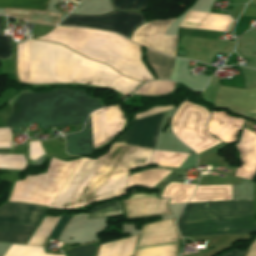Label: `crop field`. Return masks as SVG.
I'll use <instances>...</instances> for the list:
<instances>
[{"label": "crop field", "mask_w": 256, "mask_h": 256, "mask_svg": "<svg viewBox=\"0 0 256 256\" xmlns=\"http://www.w3.org/2000/svg\"><path fill=\"white\" fill-rule=\"evenodd\" d=\"M152 151L114 143L96 160L82 158L49 207L70 209L124 194L129 171L149 164Z\"/></svg>", "instance_id": "ac0d7876"}, {"label": "crop field", "mask_w": 256, "mask_h": 256, "mask_svg": "<svg viewBox=\"0 0 256 256\" xmlns=\"http://www.w3.org/2000/svg\"><path fill=\"white\" fill-rule=\"evenodd\" d=\"M173 20L148 22L136 29L131 39L156 51L175 56L177 37L164 36L166 28Z\"/></svg>", "instance_id": "d8731c3e"}, {"label": "crop field", "mask_w": 256, "mask_h": 256, "mask_svg": "<svg viewBox=\"0 0 256 256\" xmlns=\"http://www.w3.org/2000/svg\"><path fill=\"white\" fill-rule=\"evenodd\" d=\"M162 113L131 120L130 128L114 142L153 149Z\"/></svg>", "instance_id": "5a996713"}, {"label": "crop field", "mask_w": 256, "mask_h": 256, "mask_svg": "<svg viewBox=\"0 0 256 256\" xmlns=\"http://www.w3.org/2000/svg\"><path fill=\"white\" fill-rule=\"evenodd\" d=\"M103 107L102 101L93 99L84 90L54 89L48 93L22 92L13 107L6 126L39 123L40 128L84 123L93 110Z\"/></svg>", "instance_id": "412701ff"}, {"label": "crop field", "mask_w": 256, "mask_h": 256, "mask_svg": "<svg viewBox=\"0 0 256 256\" xmlns=\"http://www.w3.org/2000/svg\"><path fill=\"white\" fill-rule=\"evenodd\" d=\"M8 129L9 128H0V140H8Z\"/></svg>", "instance_id": "dafd665d"}, {"label": "crop field", "mask_w": 256, "mask_h": 256, "mask_svg": "<svg viewBox=\"0 0 256 256\" xmlns=\"http://www.w3.org/2000/svg\"><path fill=\"white\" fill-rule=\"evenodd\" d=\"M255 202H256V185H255ZM255 209H256V204H255Z\"/></svg>", "instance_id": "4177f3b9"}, {"label": "crop field", "mask_w": 256, "mask_h": 256, "mask_svg": "<svg viewBox=\"0 0 256 256\" xmlns=\"http://www.w3.org/2000/svg\"><path fill=\"white\" fill-rule=\"evenodd\" d=\"M66 140V152L73 155H89L93 153L90 119L82 132L64 136Z\"/></svg>", "instance_id": "28ad6ade"}, {"label": "crop field", "mask_w": 256, "mask_h": 256, "mask_svg": "<svg viewBox=\"0 0 256 256\" xmlns=\"http://www.w3.org/2000/svg\"><path fill=\"white\" fill-rule=\"evenodd\" d=\"M231 85L241 86L239 77L233 76V78L231 79Z\"/></svg>", "instance_id": "00972430"}, {"label": "crop field", "mask_w": 256, "mask_h": 256, "mask_svg": "<svg viewBox=\"0 0 256 256\" xmlns=\"http://www.w3.org/2000/svg\"><path fill=\"white\" fill-rule=\"evenodd\" d=\"M72 217V216H71ZM70 216H61L60 220L58 221L57 225L53 229L52 233L50 234L49 238L57 239L58 235L62 231L63 227L67 223ZM70 220V219H69ZM48 238V237H47Z\"/></svg>", "instance_id": "bc2a9ffb"}, {"label": "crop field", "mask_w": 256, "mask_h": 256, "mask_svg": "<svg viewBox=\"0 0 256 256\" xmlns=\"http://www.w3.org/2000/svg\"><path fill=\"white\" fill-rule=\"evenodd\" d=\"M230 16L188 11L180 26L228 32Z\"/></svg>", "instance_id": "3316defc"}, {"label": "crop field", "mask_w": 256, "mask_h": 256, "mask_svg": "<svg viewBox=\"0 0 256 256\" xmlns=\"http://www.w3.org/2000/svg\"><path fill=\"white\" fill-rule=\"evenodd\" d=\"M247 250H239V249H235L229 253H226L222 256H244Z\"/></svg>", "instance_id": "92a150f3"}, {"label": "crop field", "mask_w": 256, "mask_h": 256, "mask_svg": "<svg viewBox=\"0 0 256 256\" xmlns=\"http://www.w3.org/2000/svg\"><path fill=\"white\" fill-rule=\"evenodd\" d=\"M122 213L119 202L108 203L92 209L87 219L105 217Z\"/></svg>", "instance_id": "cbeb9de0"}, {"label": "crop field", "mask_w": 256, "mask_h": 256, "mask_svg": "<svg viewBox=\"0 0 256 256\" xmlns=\"http://www.w3.org/2000/svg\"><path fill=\"white\" fill-rule=\"evenodd\" d=\"M40 206L5 203L0 207V222L37 226L46 211ZM0 223V242L25 244L35 227Z\"/></svg>", "instance_id": "dd49c442"}, {"label": "crop field", "mask_w": 256, "mask_h": 256, "mask_svg": "<svg viewBox=\"0 0 256 256\" xmlns=\"http://www.w3.org/2000/svg\"><path fill=\"white\" fill-rule=\"evenodd\" d=\"M174 83L170 81H153L144 84L135 93L142 95H162L173 90Z\"/></svg>", "instance_id": "22f410ed"}, {"label": "crop field", "mask_w": 256, "mask_h": 256, "mask_svg": "<svg viewBox=\"0 0 256 256\" xmlns=\"http://www.w3.org/2000/svg\"><path fill=\"white\" fill-rule=\"evenodd\" d=\"M142 23V13L113 11L102 16L69 15L60 24L111 29L130 37L133 30Z\"/></svg>", "instance_id": "e52e79f7"}, {"label": "crop field", "mask_w": 256, "mask_h": 256, "mask_svg": "<svg viewBox=\"0 0 256 256\" xmlns=\"http://www.w3.org/2000/svg\"><path fill=\"white\" fill-rule=\"evenodd\" d=\"M242 15L256 16V5H247Z\"/></svg>", "instance_id": "214f88e0"}, {"label": "crop field", "mask_w": 256, "mask_h": 256, "mask_svg": "<svg viewBox=\"0 0 256 256\" xmlns=\"http://www.w3.org/2000/svg\"><path fill=\"white\" fill-rule=\"evenodd\" d=\"M49 0H0V8H20L45 11Z\"/></svg>", "instance_id": "d1516ede"}, {"label": "crop field", "mask_w": 256, "mask_h": 256, "mask_svg": "<svg viewBox=\"0 0 256 256\" xmlns=\"http://www.w3.org/2000/svg\"><path fill=\"white\" fill-rule=\"evenodd\" d=\"M97 243L75 247L66 252H63L65 256H94Z\"/></svg>", "instance_id": "733c2abd"}, {"label": "crop field", "mask_w": 256, "mask_h": 256, "mask_svg": "<svg viewBox=\"0 0 256 256\" xmlns=\"http://www.w3.org/2000/svg\"><path fill=\"white\" fill-rule=\"evenodd\" d=\"M17 73L20 82L105 86L125 96L142 83L68 48L37 40L18 44Z\"/></svg>", "instance_id": "8a807250"}, {"label": "crop field", "mask_w": 256, "mask_h": 256, "mask_svg": "<svg viewBox=\"0 0 256 256\" xmlns=\"http://www.w3.org/2000/svg\"><path fill=\"white\" fill-rule=\"evenodd\" d=\"M0 167L22 170L26 161L23 155H0Z\"/></svg>", "instance_id": "5142ce71"}, {"label": "crop field", "mask_w": 256, "mask_h": 256, "mask_svg": "<svg viewBox=\"0 0 256 256\" xmlns=\"http://www.w3.org/2000/svg\"><path fill=\"white\" fill-rule=\"evenodd\" d=\"M252 200L188 203L177 226L182 236L256 232Z\"/></svg>", "instance_id": "f4fd0767"}, {"label": "crop field", "mask_w": 256, "mask_h": 256, "mask_svg": "<svg viewBox=\"0 0 256 256\" xmlns=\"http://www.w3.org/2000/svg\"><path fill=\"white\" fill-rule=\"evenodd\" d=\"M10 57L9 36H2L0 33V58Z\"/></svg>", "instance_id": "4a817a6b"}, {"label": "crop field", "mask_w": 256, "mask_h": 256, "mask_svg": "<svg viewBox=\"0 0 256 256\" xmlns=\"http://www.w3.org/2000/svg\"><path fill=\"white\" fill-rule=\"evenodd\" d=\"M37 39L64 44L90 59L108 64L133 79L144 82L153 80L140 60V46L115 33L56 27Z\"/></svg>", "instance_id": "34b2d1b8"}, {"label": "crop field", "mask_w": 256, "mask_h": 256, "mask_svg": "<svg viewBox=\"0 0 256 256\" xmlns=\"http://www.w3.org/2000/svg\"><path fill=\"white\" fill-rule=\"evenodd\" d=\"M148 0H111L115 9L145 10Z\"/></svg>", "instance_id": "d9b57169"}, {"label": "crop field", "mask_w": 256, "mask_h": 256, "mask_svg": "<svg viewBox=\"0 0 256 256\" xmlns=\"http://www.w3.org/2000/svg\"><path fill=\"white\" fill-rule=\"evenodd\" d=\"M0 147H9L8 142H0Z\"/></svg>", "instance_id": "a9b5d70f"}]
</instances>
